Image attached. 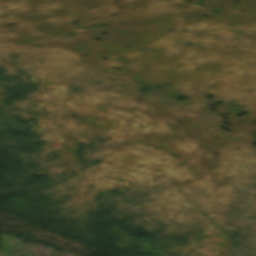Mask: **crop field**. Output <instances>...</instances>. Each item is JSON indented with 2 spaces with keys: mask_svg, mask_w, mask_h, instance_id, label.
I'll use <instances>...</instances> for the list:
<instances>
[{
  "mask_svg": "<svg viewBox=\"0 0 256 256\" xmlns=\"http://www.w3.org/2000/svg\"><path fill=\"white\" fill-rule=\"evenodd\" d=\"M0 256H3V254L0 252Z\"/></svg>",
  "mask_w": 256,
  "mask_h": 256,
  "instance_id": "obj_1",
  "label": "crop field"
}]
</instances>
